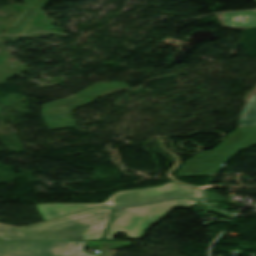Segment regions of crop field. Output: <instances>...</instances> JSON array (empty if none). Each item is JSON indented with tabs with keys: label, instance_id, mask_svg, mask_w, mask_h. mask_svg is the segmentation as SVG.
<instances>
[{
	"label": "crop field",
	"instance_id": "crop-field-1",
	"mask_svg": "<svg viewBox=\"0 0 256 256\" xmlns=\"http://www.w3.org/2000/svg\"><path fill=\"white\" fill-rule=\"evenodd\" d=\"M113 213L103 208L21 229L0 225V240H101Z\"/></svg>",
	"mask_w": 256,
	"mask_h": 256
},
{
	"label": "crop field",
	"instance_id": "crop-field-2",
	"mask_svg": "<svg viewBox=\"0 0 256 256\" xmlns=\"http://www.w3.org/2000/svg\"><path fill=\"white\" fill-rule=\"evenodd\" d=\"M176 195L191 196L202 199V190L173 181L156 187L134 189L114 192L103 203L80 204V203H55V204H36L43 220H51L58 217L102 207L105 205L119 207L136 203L154 201L173 197Z\"/></svg>",
	"mask_w": 256,
	"mask_h": 256
},
{
	"label": "crop field",
	"instance_id": "crop-field-3",
	"mask_svg": "<svg viewBox=\"0 0 256 256\" xmlns=\"http://www.w3.org/2000/svg\"><path fill=\"white\" fill-rule=\"evenodd\" d=\"M198 201L175 198L157 203L118 209L103 240L114 239L116 232H127V238H143L145 232L174 208H188Z\"/></svg>",
	"mask_w": 256,
	"mask_h": 256
},
{
	"label": "crop field",
	"instance_id": "crop-field-4",
	"mask_svg": "<svg viewBox=\"0 0 256 256\" xmlns=\"http://www.w3.org/2000/svg\"><path fill=\"white\" fill-rule=\"evenodd\" d=\"M256 146V126L235 129L213 151H205L187 160L177 175L218 173L239 151Z\"/></svg>",
	"mask_w": 256,
	"mask_h": 256
},
{
	"label": "crop field",
	"instance_id": "crop-field-5",
	"mask_svg": "<svg viewBox=\"0 0 256 256\" xmlns=\"http://www.w3.org/2000/svg\"><path fill=\"white\" fill-rule=\"evenodd\" d=\"M124 89L128 86L122 82L95 84L76 95L45 104L41 114L49 129L76 127L71 115L73 110Z\"/></svg>",
	"mask_w": 256,
	"mask_h": 256
},
{
	"label": "crop field",
	"instance_id": "crop-field-6",
	"mask_svg": "<svg viewBox=\"0 0 256 256\" xmlns=\"http://www.w3.org/2000/svg\"><path fill=\"white\" fill-rule=\"evenodd\" d=\"M86 241L0 242V256H96L83 252Z\"/></svg>",
	"mask_w": 256,
	"mask_h": 256
},
{
	"label": "crop field",
	"instance_id": "crop-field-7",
	"mask_svg": "<svg viewBox=\"0 0 256 256\" xmlns=\"http://www.w3.org/2000/svg\"><path fill=\"white\" fill-rule=\"evenodd\" d=\"M222 15L227 27H256V12Z\"/></svg>",
	"mask_w": 256,
	"mask_h": 256
},
{
	"label": "crop field",
	"instance_id": "crop-field-8",
	"mask_svg": "<svg viewBox=\"0 0 256 256\" xmlns=\"http://www.w3.org/2000/svg\"><path fill=\"white\" fill-rule=\"evenodd\" d=\"M253 125H256V94L246 103L238 120V127Z\"/></svg>",
	"mask_w": 256,
	"mask_h": 256
},
{
	"label": "crop field",
	"instance_id": "crop-field-9",
	"mask_svg": "<svg viewBox=\"0 0 256 256\" xmlns=\"http://www.w3.org/2000/svg\"><path fill=\"white\" fill-rule=\"evenodd\" d=\"M40 9L29 7L25 15L22 17L20 22L17 24L16 27L10 26L7 28V30L3 33L6 35H13V34H19L23 33L24 30L27 28V26L30 24V22L33 20L35 15L38 13Z\"/></svg>",
	"mask_w": 256,
	"mask_h": 256
},
{
	"label": "crop field",
	"instance_id": "crop-field-10",
	"mask_svg": "<svg viewBox=\"0 0 256 256\" xmlns=\"http://www.w3.org/2000/svg\"><path fill=\"white\" fill-rule=\"evenodd\" d=\"M47 1L48 0H24L26 5L37 8L44 6Z\"/></svg>",
	"mask_w": 256,
	"mask_h": 256
},
{
	"label": "crop field",
	"instance_id": "crop-field-11",
	"mask_svg": "<svg viewBox=\"0 0 256 256\" xmlns=\"http://www.w3.org/2000/svg\"><path fill=\"white\" fill-rule=\"evenodd\" d=\"M256 1V0H255Z\"/></svg>",
	"mask_w": 256,
	"mask_h": 256
}]
</instances>
